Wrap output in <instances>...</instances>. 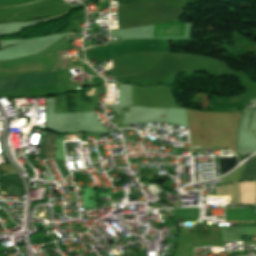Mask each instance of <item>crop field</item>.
I'll return each instance as SVG.
<instances>
[{
	"label": "crop field",
	"instance_id": "8a807250",
	"mask_svg": "<svg viewBox=\"0 0 256 256\" xmlns=\"http://www.w3.org/2000/svg\"><path fill=\"white\" fill-rule=\"evenodd\" d=\"M56 83L52 73L25 74L0 79V93L27 86ZM28 88V87H27Z\"/></svg>",
	"mask_w": 256,
	"mask_h": 256
},
{
	"label": "crop field",
	"instance_id": "ac0d7876",
	"mask_svg": "<svg viewBox=\"0 0 256 256\" xmlns=\"http://www.w3.org/2000/svg\"><path fill=\"white\" fill-rule=\"evenodd\" d=\"M183 28L182 23L156 25L154 37L183 36Z\"/></svg>",
	"mask_w": 256,
	"mask_h": 256
},
{
	"label": "crop field",
	"instance_id": "34b2d1b8",
	"mask_svg": "<svg viewBox=\"0 0 256 256\" xmlns=\"http://www.w3.org/2000/svg\"><path fill=\"white\" fill-rule=\"evenodd\" d=\"M241 188L240 204L255 203L256 198V182L247 181L239 183Z\"/></svg>",
	"mask_w": 256,
	"mask_h": 256
},
{
	"label": "crop field",
	"instance_id": "412701ff",
	"mask_svg": "<svg viewBox=\"0 0 256 256\" xmlns=\"http://www.w3.org/2000/svg\"><path fill=\"white\" fill-rule=\"evenodd\" d=\"M242 179H256V156L245 162V169L240 180Z\"/></svg>",
	"mask_w": 256,
	"mask_h": 256
},
{
	"label": "crop field",
	"instance_id": "f4fd0767",
	"mask_svg": "<svg viewBox=\"0 0 256 256\" xmlns=\"http://www.w3.org/2000/svg\"><path fill=\"white\" fill-rule=\"evenodd\" d=\"M55 134H48L46 137V149H45V159H54L55 154Z\"/></svg>",
	"mask_w": 256,
	"mask_h": 256
},
{
	"label": "crop field",
	"instance_id": "dd49c442",
	"mask_svg": "<svg viewBox=\"0 0 256 256\" xmlns=\"http://www.w3.org/2000/svg\"><path fill=\"white\" fill-rule=\"evenodd\" d=\"M221 175L230 171L237 165L236 157L219 158Z\"/></svg>",
	"mask_w": 256,
	"mask_h": 256
}]
</instances>
